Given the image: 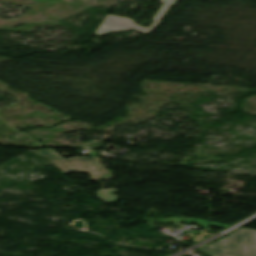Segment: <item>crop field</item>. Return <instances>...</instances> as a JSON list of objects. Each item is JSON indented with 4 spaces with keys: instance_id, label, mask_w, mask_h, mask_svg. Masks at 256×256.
<instances>
[{
    "instance_id": "crop-field-1",
    "label": "crop field",
    "mask_w": 256,
    "mask_h": 256,
    "mask_svg": "<svg viewBox=\"0 0 256 256\" xmlns=\"http://www.w3.org/2000/svg\"><path fill=\"white\" fill-rule=\"evenodd\" d=\"M34 154L47 157L64 174L72 171H83L90 174L92 181L107 180L113 175L100 164L97 154L90 155V158L81 156L62 158L52 149L35 150Z\"/></svg>"
},
{
    "instance_id": "crop-field-2",
    "label": "crop field",
    "mask_w": 256,
    "mask_h": 256,
    "mask_svg": "<svg viewBox=\"0 0 256 256\" xmlns=\"http://www.w3.org/2000/svg\"><path fill=\"white\" fill-rule=\"evenodd\" d=\"M200 249L221 256H256V230L240 228Z\"/></svg>"
},
{
    "instance_id": "crop-field-3",
    "label": "crop field",
    "mask_w": 256,
    "mask_h": 256,
    "mask_svg": "<svg viewBox=\"0 0 256 256\" xmlns=\"http://www.w3.org/2000/svg\"><path fill=\"white\" fill-rule=\"evenodd\" d=\"M170 219H174L175 221H169L168 219H165V218H161V219L141 218V220L148 221L147 225H149L151 228H154V226L152 224L153 221L171 222V223L175 224L176 226H178V227H180L182 229L184 228V226L178 224L180 221H184V222H189V223L200 225L201 227H203L206 230L209 227V221H207V220L189 219V218H180V217H171Z\"/></svg>"
},
{
    "instance_id": "crop-field-4",
    "label": "crop field",
    "mask_w": 256,
    "mask_h": 256,
    "mask_svg": "<svg viewBox=\"0 0 256 256\" xmlns=\"http://www.w3.org/2000/svg\"><path fill=\"white\" fill-rule=\"evenodd\" d=\"M115 192H117L116 189L100 190V191L96 192V194L98 195L97 197H99L104 202L113 203L115 201H118V199H117L118 197L112 194Z\"/></svg>"
},
{
    "instance_id": "crop-field-5",
    "label": "crop field",
    "mask_w": 256,
    "mask_h": 256,
    "mask_svg": "<svg viewBox=\"0 0 256 256\" xmlns=\"http://www.w3.org/2000/svg\"><path fill=\"white\" fill-rule=\"evenodd\" d=\"M210 225L217 226V227H222V228H225V227L228 226V225H224V224H220V223H216V222H212V221H210Z\"/></svg>"
},
{
    "instance_id": "crop-field-6",
    "label": "crop field",
    "mask_w": 256,
    "mask_h": 256,
    "mask_svg": "<svg viewBox=\"0 0 256 256\" xmlns=\"http://www.w3.org/2000/svg\"><path fill=\"white\" fill-rule=\"evenodd\" d=\"M197 250V249H196ZM199 251V250H198ZM200 252H203V251H200ZM203 253H206V252H203ZM207 254H210V253H207ZM211 255H213V254H211ZM214 256H216V255H214Z\"/></svg>"
}]
</instances>
